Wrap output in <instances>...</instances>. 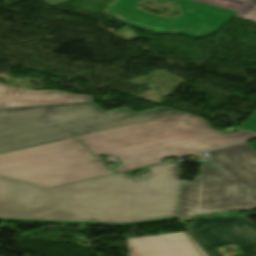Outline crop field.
I'll list each match as a JSON object with an SVG mask.
<instances>
[{
	"instance_id": "crop-field-8",
	"label": "crop field",
	"mask_w": 256,
	"mask_h": 256,
	"mask_svg": "<svg viewBox=\"0 0 256 256\" xmlns=\"http://www.w3.org/2000/svg\"><path fill=\"white\" fill-rule=\"evenodd\" d=\"M187 229L209 256H221L215 248L233 243L243 253L237 256H256V225L250 220L198 218Z\"/></svg>"
},
{
	"instance_id": "crop-field-13",
	"label": "crop field",
	"mask_w": 256,
	"mask_h": 256,
	"mask_svg": "<svg viewBox=\"0 0 256 256\" xmlns=\"http://www.w3.org/2000/svg\"><path fill=\"white\" fill-rule=\"evenodd\" d=\"M186 234L188 235L189 239L191 240V242L193 243V245L195 246V248L197 249V251L199 252V254L201 256H208L203 250L202 248L197 244V242L186 232Z\"/></svg>"
},
{
	"instance_id": "crop-field-2",
	"label": "crop field",
	"mask_w": 256,
	"mask_h": 256,
	"mask_svg": "<svg viewBox=\"0 0 256 256\" xmlns=\"http://www.w3.org/2000/svg\"><path fill=\"white\" fill-rule=\"evenodd\" d=\"M152 175L138 181L115 174L50 188L69 195L105 220L128 226L177 218L181 171L170 161L149 167Z\"/></svg>"
},
{
	"instance_id": "crop-field-1",
	"label": "crop field",
	"mask_w": 256,
	"mask_h": 256,
	"mask_svg": "<svg viewBox=\"0 0 256 256\" xmlns=\"http://www.w3.org/2000/svg\"><path fill=\"white\" fill-rule=\"evenodd\" d=\"M255 137L249 131L227 135L199 116L181 113L77 138L93 152L119 157L124 164L112 170L125 171Z\"/></svg>"
},
{
	"instance_id": "crop-field-11",
	"label": "crop field",
	"mask_w": 256,
	"mask_h": 256,
	"mask_svg": "<svg viewBox=\"0 0 256 256\" xmlns=\"http://www.w3.org/2000/svg\"><path fill=\"white\" fill-rule=\"evenodd\" d=\"M239 12L236 17L256 21V0H195Z\"/></svg>"
},
{
	"instance_id": "crop-field-6",
	"label": "crop field",
	"mask_w": 256,
	"mask_h": 256,
	"mask_svg": "<svg viewBox=\"0 0 256 256\" xmlns=\"http://www.w3.org/2000/svg\"><path fill=\"white\" fill-rule=\"evenodd\" d=\"M0 220L102 225L100 217L73 198L0 177Z\"/></svg>"
},
{
	"instance_id": "crop-field-10",
	"label": "crop field",
	"mask_w": 256,
	"mask_h": 256,
	"mask_svg": "<svg viewBox=\"0 0 256 256\" xmlns=\"http://www.w3.org/2000/svg\"><path fill=\"white\" fill-rule=\"evenodd\" d=\"M93 101L92 97L57 91H27L0 84V108Z\"/></svg>"
},
{
	"instance_id": "crop-field-4",
	"label": "crop field",
	"mask_w": 256,
	"mask_h": 256,
	"mask_svg": "<svg viewBox=\"0 0 256 256\" xmlns=\"http://www.w3.org/2000/svg\"><path fill=\"white\" fill-rule=\"evenodd\" d=\"M208 153L200 176L182 180L178 218L256 209V150L244 142Z\"/></svg>"
},
{
	"instance_id": "crop-field-9",
	"label": "crop field",
	"mask_w": 256,
	"mask_h": 256,
	"mask_svg": "<svg viewBox=\"0 0 256 256\" xmlns=\"http://www.w3.org/2000/svg\"><path fill=\"white\" fill-rule=\"evenodd\" d=\"M129 256H200L185 232L127 239Z\"/></svg>"
},
{
	"instance_id": "crop-field-12",
	"label": "crop field",
	"mask_w": 256,
	"mask_h": 256,
	"mask_svg": "<svg viewBox=\"0 0 256 256\" xmlns=\"http://www.w3.org/2000/svg\"><path fill=\"white\" fill-rule=\"evenodd\" d=\"M242 129L256 132V113L240 126Z\"/></svg>"
},
{
	"instance_id": "crop-field-7",
	"label": "crop field",
	"mask_w": 256,
	"mask_h": 256,
	"mask_svg": "<svg viewBox=\"0 0 256 256\" xmlns=\"http://www.w3.org/2000/svg\"><path fill=\"white\" fill-rule=\"evenodd\" d=\"M179 4L181 15L176 18L156 17L135 6L140 0H116L107 13L132 26L142 27L154 33L186 34L201 38L219 31L237 12L202 4L191 0H161ZM195 29L187 30L188 26Z\"/></svg>"
},
{
	"instance_id": "crop-field-5",
	"label": "crop field",
	"mask_w": 256,
	"mask_h": 256,
	"mask_svg": "<svg viewBox=\"0 0 256 256\" xmlns=\"http://www.w3.org/2000/svg\"><path fill=\"white\" fill-rule=\"evenodd\" d=\"M115 174L75 139L0 154V175L44 188Z\"/></svg>"
},
{
	"instance_id": "crop-field-3",
	"label": "crop field",
	"mask_w": 256,
	"mask_h": 256,
	"mask_svg": "<svg viewBox=\"0 0 256 256\" xmlns=\"http://www.w3.org/2000/svg\"><path fill=\"white\" fill-rule=\"evenodd\" d=\"M96 106L87 102L0 109V152L181 113L165 107L104 112Z\"/></svg>"
}]
</instances>
